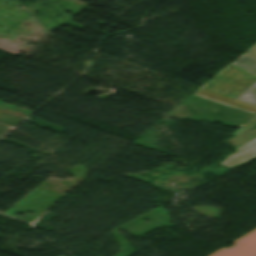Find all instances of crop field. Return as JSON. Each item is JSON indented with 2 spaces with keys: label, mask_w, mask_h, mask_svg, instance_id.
Instances as JSON below:
<instances>
[{
  "label": "crop field",
  "mask_w": 256,
  "mask_h": 256,
  "mask_svg": "<svg viewBox=\"0 0 256 256\" xmlns=\"http://www.w3.org/2000/svg\"><path fill=\"white\" fill-rule=\"evenodd\" d=\"M255 123H256V118L252 120L250 123H248L246 126L241 128L240 130H238L236 133H234L235 136L227 141L236 147L252 139L253 137L256 136V128L252 131H250L249 129L252 128Z\"/></svg>",
  "instance_id": "412701ff"
},
{
  "label": "crop field",
  "mask_w": 256,
  "mask_h": 256,
  "mask_svg": "<svg viewBox=\"0 0 256 256\" xmlns=\"http://www.w3.org/2000/svg\"><path fill=\"white\" fill-rule=\"evenodd\" d=\"M233 64L256 74V61L242 55ZM237 99L256 105V84L241 94Z\"/></svg>",
  "instance_id": "34b2d1b8"
},
{
  "label": "crop field",
  "mask_w": 256,
  "mask_h": 256,
  "mask_svg": "<svg viewBox=\"0 0 256 256\" xmlns=\"http://www.w3.org/2000/svg\"><path fill=\"white\" fill-rule=\"evenodd\" d=\"M235 150L237 151L236 154L226 158L225 161L220 163L230 170L256 157V139Z\"/></svg>",
  "instance_id": "ac0d7876"
},
{
  "label": "crop field",
  "mask_w": 256,
  "mask_h": 256,
  "mask_svg": "<svg viewBox=\"0 0 256 256\" xmlns=\"http://www.w3.org/2000/svg\"><path fill=\"white\" fill-rule=\"evenodd\" d=\"M233 243V248H222L210 256H256V229Z\"/></svg>",
  "instance_id": "8a807250"
},
{
  "label": "crop field",
  "mask_w": 256,
  "mask_h": 256,
  "mask_svg": "<svg viewBox=\"0 0 256 256\" xmlns=\"http://www.w3.org/2000/svg\"><path fill=\"white\" fill-rule=\"evenodd\" d=\"M244 55L256 60V44L252 46L250 49H248Z\"/></svg>",
  "instance_id": "f4fd0767"
}]
</instances>
